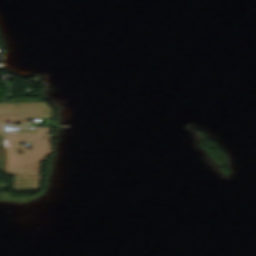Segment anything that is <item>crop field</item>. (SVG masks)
Returning <instances> with one entry per match:
<instances>
[{"label": "crop field", "instance_id": "crop-field-1", "mask_svg": "<svg viewBox=\"0 0 256 256\" xmlns=\"http://www.w3.org/2000/svg\"><path fill=\"white\" fill-rule=\"evenodd\" d=\"M49 128L23 130L19 133H4L3 142L7 154L5 172L14 175L13 187L16 191L38 190V163L44 155H50L49 142L51 136H47ZM33 132V134H29ZM18 141H28L32 144V150L18 145ZM16 148L24 153L18 154Z\"/></svg>", "mask_w": 256, "mask_h": 256}, {"label": "crop field", "instance_id": "crop-field-2", "mask_svg": "<svg viewBox=\"0 0 256 256\" xmlns=\"http://www.w3.org/2000/svg\"><path fill=\"white\" fill-rule=\"evenodd\" d=\"M51 112L52 109L44 103L2 104L0 105V123H4V119H10L11 123L27 124L26 117L51 118Z\"/></svg>", "mask_w": 256, "mask_h": 256}, {"label": "crop field", "instance_id": "crop-field-3", "mask_svg": "<svg viewBox=\"0 0 256 256\" xmlns=\"http://www.w3.org/2000/svg\"><path fill=\"white\" fill-rule=\"evenodd\" d=\"M5 160H6V154L2 142V137H0V170L4 171L5 168Z\"/></svg>", "mask_w": 256, "mask_h": 256}]
</instances>
